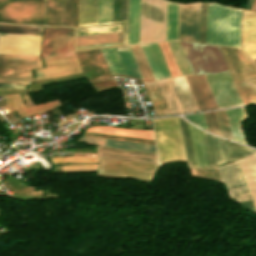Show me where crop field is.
<instances>
[{
    "mask_svg": "<svg viewBox=\"0 0 256 256\" xmlns=\"http://www.w3.org/2000/svg\"><path fill=\"white\" fill-rule=\"evenodd\" d=\"M241 10L208 3L207 43L240 47Z\"/></svg>",
    "mask_w": 256,
    "mask_h": 256,
    "instance_id": "obj_1",
    "label": "crop field"
},
{
    "mask_svg": "<svg viewBox=\"0 0 256 256\" xmlns=\"http://www.w3.org/2000/svg\"><path fill=\"white\" fill-rule=\"evenodd\" d=\"M244 105L256 102V66L241 49L219 46Z\"/></svg>",
    "mask_w": 256,
    "mask_h": 256,
    "instance_id": "obj_2",
    "label": "crop field"
},
{
    "mask_svg": "<svg viewBox=\"0 0 256 256\" xmlns=\"http://www.w3.org/2000/svg\"><path fill=\"white\" fill-rule=\"evenodd\" d=\"M153 122L160 162L186 161L177 117Z\"/></svg>",
    "mask_w": 256,
    "mask_h": 256,
    "instance_id": "obj_3",
    "label": "crop field"
},
{
    "mask_svg": "<svg viewBox=\"0 0 256 256\" xmlns=\"http://www.w3.org/2000/svg\"><path fill=\"white\" fill-rule=\"evenodd\" d=\"M158 7L164 10V24L163 23V11L155 8ZM140 14L149 18L143 17L140 15V31H139V44L143 43H153V42H162L166 41V21H167V1L166 0H142Z\"/></svg>",
    "mask_w": 256,
    "mask_h": 256,
    "instance_id": "obj_4",
    "label": "crop field"
},
{
    "mask_svg": "<svg viewBox=\"0 0 256 256\" xmlns=\"http://www.w3.org/2000/svg\"><path fill=\"white\" fill-rule=\"evenodd\" d=\"M193 74L228 71L218 46L179 42Z\"/></svg>",
    "mask_w": 256,
    "mask_h": 256,
    "instance_id": "obj_5",
    "label": "crop field"
},
{
    "mask_svg": "<svg viewBox=\"0 0 256 256\" xmlns=\"http://www.w3.org/2000/svg\"><path fill=\"white\" fill-rule=\"evenodd\" d=\"M0 22L44 25V0H0Z\"/></svg>",
    "mask_w": 256,
    "mask_h": 256,
    "instance_id": "obj_6",
    "label": "crop field"
},
{
    "mask_svg": "<svg viewBox=\"0 0 256 256\" xmlns=\"http://www.w3.org/2000/svg\"><path fill=\"white\" fill-rule=\"evenodd\" d=\"M41 67L40 56L0 54V82L30 84L31 70Z\"/></svg>",
    "mask_w": 256,
    "mask_h": 256,
    "instance_id": "obj_7",
    "label": "crop field"
},
{
    "mask_svg": "<svg viewBox=\"0 0 256 256\" xmlns=\"http://www.w3.org/2000/svg\"><path fill=\"white\" fill-rule=\"evenodd\" d=\"M73 30L74 28L45 27L42 43L43 59L75 55Z\"/></svg>",
    "mask_w": 256,
    "mask_h": 256,
    "instance_id": "obj_8",
    "label": "crop field"
},
{
    "mask_svg": "<svg viewBox=\"0 0 256 256\" xmlns=\"http://www.w3.org/2000/svg\"><path fill=\"white\" fill-rule=\"evenodd\" d=\"M97 173L152 180L158 166L98 158Z\"/></svg>",
    "mask_w": 256,
    "mask_h": 256,
    "instance_id": "obj_9",
    "label": "crop field"
},
{
    "mask_svg": "<svg viewBox=\"0 0 256 256\" xmlns=\"http://www.w3.org/2000/svg\"><path fill=\"white\" fill-rule=\"evenodd\" d=\"M112 75L142 78L129 46L101 49Z\"/></svg>",
    "mask_w": 256,
    "mask_h": 256,
    "instance_id": "obj_10",
    "label": "crop field"
},
{
    "mask_svg": "<svg viewBox=\"0 0 256 256\" xmlns=\"http://www.w3.org/2000/svg\"><path fill=\"white\" fill-rule=\"evenodd\" d=\"M205 76L219 108L243 105L229 72Z\"/></svg>",
    "mask_w": 256,
    "mask_h": 256,
    "instance_id": "obj_11",
    "label": "crop field"
},
{
    "mask_svg": "<svg viewBox=\"0 0 256 256\" xmlns=\"http://www.w3.org/2000/svg\"><path fill=\"white\" fill-rule=\"evenodd\" d=\"M200 2L179 4L178 40L198 42Z\"/></svg>",
    "mask_w": 256,
    "mask_h": 256,
    "instance_id": "obj_12",
    "label": "crop field"
},
{
    "mask_svg": "<svg viewBox=\"0 0 256 256\" xmlns=\"http://www.w3.org/2000/svg\"><path fill=\"white\" fill-rule=\"evenodd\" d=\"M41 36L0 34V53L39 55Z\"/></svg>",
    "mask_w": 256,
    "mask_h": 256,
    "instance_id": "obj_13",
    "label": "crop field"
},
{
    "mask_svg": "<svg viewBox=\"0 0 256 256\" xmlns=\"http://www.w3.org/2000/svg\"><path fill=\"white\" fill-rule=\"evenodd\" d=\"M144 85L157 115L180 113L166 80Z\"/></svg>",
    "mask_w": 256,
    "mask_h": 256,
    "instance_id": "obj_14",
    "label": "crop field"
},
{
    "mask_svg": "<svg viewBox=\"0 0 256 256\" xmlns=\"http://www.w3.org/2000/svg\"><path fill=\"white\" fill-rule=\"evenodd\" d=\"M218 168L223 182L227 185L230 198L251 200L237 161Z\"/></svg>",
    "mask_w": 256,
    "mask_h": 256,
    "instance_id": "obj_15",
    "label": "crop field"
},
{
    "mask_svg": "<svg viewBox=\"0 0 256 256\" xmlns=\"http://www.w3.org/2000/svg\"><path fill=\"white\" fill-rule=\"evenodd\" d=\"M185 77L200 111L218 108L204 75Z\"/></svg>",
    "mask_w": 256,
    "mask_h": 256,
    "instance_id": "obj_16",
    "label": "crop field"
},
{
    "mask_svg": "<svg viewBox=\"0 0 256 256\" xmlns=\"http://www.w3.org/2000/svg\"><path fill=\"white\" fill-rule=\"evenodd\" d=\"M44 63L46 68L34 71L36 80L81 72L75 56L47 60Z\"/></svg>",
    "mask_w": 256,
    "mask_h": 256,
    "instance_id": "obj_17",
    "label": "crop field"
},
{
    "mask_svg": "<svg viewBox=\"0 0 256 256\" xmlns=\"http://www.w3.org/2000/svg\"><path fill=\"white\" fill-rule=\"evenodd\" d=\"M140 46L156 80L172 77L157 43Z\"/></svg>",
    "mask_w": 256,
    "mask_h": 256,
    "instance_id": "obj_18",
    "label": "crop field"
},
{
    "mask_svg": "<svg viewBox=\"0 0 256 256\" xmlns=\"http://www.w3.org/2000/svg\"><path fill=\"white\" fill-rule=\"evenodd\" d=\"M242 48L251 59L256 58V12L243 10Z\"/></svg>",
    "mask_w": 256,
    "mask_h": 256,
    "instance_id": "obj_19",
    "label": "crop field"
},
{
    "mask_svg": "<svg viewBox=\"0 0 256 256\" xmlns=\"http://www.w3.org/2000/svg\"><path fill=\"white\" fill-rule=\"evenodd\" d=\"M8 105L9 111H16L21 117L32 114L47 112L57 106L63 105L59 99L50 101L44 104L26 108L20 95L4 96Z\"/></svg>",
    "mask_w": 256,
    "mask_h": 256,
    "instance_id": "obj_20",
    "label": "crop field"
},
{
    "mask_svg": "<svg viewBox=\"0 0 256 256\" xmlns=\"http://www.w3.org/2000/svg\"><path fill=\"white\" fill-rule=\"evenodd\" d=\"M79 140L84 141V142H88V143H92V144H95L97 146H102V147H110V148H119V149H128V150H136V151H145V152L157 153L155 145H151V144H143V143H135V142H127V141L95 138V137H87V136H83Z\"/></svg>",
    "mask_w": 256,
    "mask_h": 256,
    "instance_id": "obj_21",
    "label": "crop field"
},
{
    "mask_svg": "<svg viewBox=\"0 0 256 256\" xmlns=\"http://www.w3.org/2000/svg\"><path fill=\"white\" fill-rule=\"evenodd\" d=\"M184 113L199 111L184 76L169 79Z\"/></svg>",
    "mask_w": 256,
    "mask_h": 256,
    "instance_id": "obj_22",
    "label": "crop field"
},
{
    "mask_svg": "<svg viewBox=\"0 0 256 256\" xmlns=\"http://www.w3.org/2000/svg\"><path fill=\"white\" fill-rule=\"evenodd\" d=\"M98 153L158 161L157 154H153V153L127 151V150L110 149V148H102V147H98ZM101 154H98V157L159 164V162H155V161L139 160V159L101 155Z\"/></svg>",
    "mask_w": 256,
    "mask_h": 256,
    "instance_id": "obj_23",
    "label": "crop field"
},
{
    "mask_svg": "<svg viewBox=\"0 0 256 256\" xmlns=\"http://www.w3.org/2000/svg\"><path fill=\"white\" fill-rule=\"evenodd\" d=\"M216 139H217V145H218L221 163L235 160L256 152V150L254 149H251L236 143L222 140L217 137Z\"/></svg>",
    "mask_w": 256,
    "mask_h": 256,
    "instance_id": "obj_24",
    "label": "crop field"
},
{
    "mask_svg": "<svg viewBox=\"0 0 256 256\" xmlns=\"http://www.w3.org/2000/svg\"><path fill=\"white\" fill-rule=\"evenodd\" d=\"M238 162L256 209V153Z\"/></svg>",
    "mask_w": 256,
    "mask_h": 256,
    "instance_id": "obj_25",
    "label": "crop field"
},
{
    "mask_svg": "<svg viewBox=\"0 0 256 256\" xmlns=\"http://www.w3.org/2000/svg\"><path fill=\"white\" fill-rule=\"evenodd\" d=\"M86 131L154 140L152 130H132L109 126H95L88 128Z\"/></svg>",
    "mask_w": 256,
    "mask_h": 256,
    "instance_id": "obj_26",
    "label": "crop field"
},
{
    "mask_svg": "<svg viewBox=\"0 0 256 256\" xmlns=\"http://www.w3.org/2000/svg\"><path fill=\"white\" fill-rule=\"evenodd\" d=\"M140 0H129L128 45L138 44Z\"/></svg>",
    "mask_w": 256,
    "mask_h": 256,
    "instance_id": "obj_27",
    "label": "crop field"
},
{
    "mask_svg": "<svg viewBox=\"0 0 256 256\" xmlns=\"http://www.w3.org/2000/svg\"><path fill=\"white\" fill-rule=\"evenodd\" d=\"M226 115L231 128L233 139L237 142L246 143L240 122L245 119L242 108L227 109Z\"/></svg>",
    "mask_w": 256,
    "mask_h": 256,
    "instance_id": "obj_28",
    "label": "crop field"
},
{
    "mask_svg": "<svg viewBox=\"0 0 256 256\" xmlns=\"http://www.w3.org/2000/svg\"><path fill=\"white\" fill-rule=\"evenodd\" d=\"M124 22L123 45H127L128 0H113L112 23Z\"/></svg>",
    "mask_w": 256,
    "mask_h": 256,
    "instance_id": "obj_29",
    "label": "crop field"
},
{
    "mask_svg": "<svg viewBox=\"0 0 256 256\" xmlns=\"http://www.w3.org/2000/svg\"><path fill=\"white\" fill-rule=\"evenodd\" d=\"M190 131L197 167L208 166L201 130L190 125Z\"/></svg>",
    "mask_w": 256,
    "mask_h": 256,
    "instance_id": "obj_30",
    "label": "crop field"
},
{
    "mask_svg": "<svg viewBox=\"0 0 256 256\" xmlns=\"http://www.w3.org/2000/svg\"><path fill=\"white\" fill-rule=\"evenodd\" d=\"M63 0H47L46 25L62 26Z\"/></svg>",
    "mask_w": 256,
    "mask_h": 256,
    "instance_id": "obj_31",
    "label": "crop field"
},
{
    "mask_svg": "<svg viewBox=\"0 0 256 256\" xmlns=\"http://www.w3.org/2000/svg\"><path fill=\"white\" fill-rule=\"evenodd\" d=\"M121 41V32L76 37V46Z\"/></svg>",
    "mask_w": 256,
    "mask_h": 256,
    "instance_id": "obj_32",
    "label": "crop field"
},
{
    "mask_svg": "<svg viewBox=\"0 0 256 256\" xmlns=\"http://www.w3.org/2000/svg\"><path fill=\"white\" fill-rule=\"evenodd\" d=\"M145 81L155 80L139 45L130 46Z\"/></svg>",
    "mask_w": 256,
    "mask_h": 256,
    "instance_id": "obj_33",
    "label": "crop field"
},
{
    "mask_svg": "<svg viewBox=\"0 0 256 256\" xmlns=\"http://www.w3.org/2000/svg\"><path fill=\"white\" fill-rule=\"evenodd\" d=\"M41 32L42 27L0 24V33L41 35Z\"/></svg>",
    "mask_w": 256,
    "mask_h": 256,
    "instance_id": "obj_34",
    "label": "crop field"
},
{
    "mask_svg": "<svg viewBox=\"0 0 256 256\" xmlns=\"http://www.w3.org/2000/svg\"><path fill=\"white\" fill-rule=\"evenodd\" d=\"M177 4L168 1L167 41L176 40Z\"/></svg>",
    "mask_w": 256,
    "mask_h": 256,
    "instance_id": "obj_35",
    "label": "crop field"
},
{
    "mask_svg": "<svg viewBox=\"0 0 256 256\" xmlns=\"http://www.w3.org/2000/svg\"><path fill=\"white\" fill-rule=\"evenodd\" d=\"M122 24L76 28V36L121 31Z\"/></svg>",
    "mask_w": 256,
    "mask_h": 256,
    "instance_id": "obj_36",
    "label": "crop field"
},
{
    "mask_svg": "<svg viewBox=\"0 0 256 256\" xmlns=\"http://www.w3.org/2000/svg\"><path fill=\"white\" fill-rule=\"evenodd\" d=\"M173 77L181 75L167 42L158 43Z\"/></svg>",
    "mask_w": 256,
    "mask_h": 256,
    "instance_id": "obj_37",
    "label": "crop field"
},
{
    "mask_svg": "<svg viewBox=\"0 0 256 256\" xmlns=\"http://www.w3.org/2000/svg\"><path fill=\"white\" fill-rule=\"evenodd\" d=\"M182 75L191 74L177 42H168Z\"/></svg>",
    "mask_w": 256,
    "mask_h": 256,
    "instance_id": "obj_38",
    "label": "crop field"
},
{
    "mask_svg": "<svg viewBox=\"0 0 256 256\" xmlns=\"http://www.w3.org/2000/svg\"><path fill=\"white\" fill-rule=\"evenodd\" d=\"M112 0H99L98 24L111 23Z\"/></svg>",
    "mask_w": 256,
    "mask_h": 256,
    "instance_id": "obj_39",
    "label": "crop field"
},
{
    "mask_svg": "<svg viewBox=\"0 0 256 256\" xmlns=\"http://www.w3.org/2000/svg\"><path fill=\"white\" fill-rule=\"evenodd\" d=\"M207 3L201 2L199 42L206 43Z\"/></svg>",
    "mask_w": 256,
    "mask_h": 256,
    "instance_id": "obj_40",
    "label": "crop field"
},
{
    "mask_svg": "<svg viewBox=\"0 0 256 256\" xmlns=\"http://www.w3.org/2000/svg\"><path fill=\"white\" fill-rule=\"evenodd\" d=\"M74 0H64L63 26H73Z\"/></svg>",
    "mask_w": 256,
    "mask_h": 256,
    "instance_id": "obj_41",
    "label": "crop field"
},
{
    "mask_svg": "<svg viewBox=\"0 0 256 256\" xmlns=\"http://www.w3.org/2000/svg\"><path fill=\"white\" fill-rule=\"evenodd\" d=\"M203 114H204L207 130L210 131V132H213L215 134L220 135V131H219L218 123H217V120H216L215 112L211 111V112H205Z\"/></svg>",
    "mask_w": 256,
    "mask_h": 256,
    "instance_id": "obj_42",
    "label": "crop field"
},
{
    "mask_svg": "<svg viewBox=\"0 0 256 256\" xmlns=\"http://www.w3.org/2000/svg\"><path fill=\"white\" fill-rule=\"evenodd\" d=\"M53 164L64 163V162H97L96 158H85V157H68V158H51Z\"/></svg>",
    "mask_w": 256,
    "mask_h": 256,
    "instance_id": "obj_43",
    "label": "crop field"
},
{
    "mask_svg": "<svg viewBox=\"0 0 256 256\" xmlns=\"http://www.w3.org/2000/svg\"><path fill=\"white\" fill-rule=\"evenodd\" d=\"M186 119L194 122L195 124L201 126L202 128H204L206 130V126H205V122H204V118H203V114L199 113V114H193V115H187L184 116Z\"/></svg>",
    "mask_w": 256,
    "mask_h": 256,
    "instance_id": "obj_44",
    "label": "crop field"
},
{
    "mask_svg": "<svg viewBox=\"0 0 256 256\" xmlns=\"http://www.w3.org/2000/svg\"><path fill=\"white\" fill-rule=\"evenodd\" d=\"M121 46V42L76 47V50Z\"/></svg>",
    "mask_w": 256,
    "mask_h": 256,
    "instance_id": "obj_45",
    "label": "crop field"
},
{
    "mask_svg": "<svg viewBox=\"0 0 256 256\" xmlns=\"http://www.w3.org/2000/svg\"><path fill=\"white\" fill-rule=\"evenodd\" d=\"M97 164L63 166L64 169L96 168Z\"/></svg>",
    "mask_w": 256,
    "mask_h": 256,
    "instance_id": "obj_46",
    "label": "crop field"
},
{
    "mask_svg": "<svg viewBox=\"0 0 256 256\" xmlns=\"http://www.w3.org/2000/svg\"><path fill=\"white\" fill-rule=\"evenodd\" d=\"M255 64H256V60L255 61H253Z\"/></svg>",
    "mask_w": 256,
    "mask_h": 256,
    "instance_id": "obj_47",
    "label": "crop field"
}]
</instances>
